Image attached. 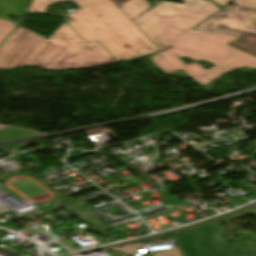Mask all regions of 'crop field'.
I'll return each instance as SVG.
<instances>
[{
  "mask_svg": "<svg viewBox=\"0 0 256 256\" xmlns=\"http://www.w3.org/2000/svg\"><path fill=\"white\" fill-rule=\"evenodd\" d=\"M142 246H144V244H131V245H127V246H124L122 248H114L116 250H119L121 252H124V253H134L136 252L137 250H139Z\"/></svg>",
  "mask_w": 256,
  "mask_h": 256,
  "instance_id": "13",
  "label": "crop field"
},
{
  "mask_svg": "<svg viewBox=\"0 0 256 256\" xmlns=\"http://www.w3.org/2000/svg\"><path fill=\"white\" fill-rule=\"evenodd\" d=\"M24 143H20V144H14V145H8V146H3L0 147V150L2 152H4L6 155L12 153L16 148L22 146Z\"/></svg>",
  "mask_w": 256,
  "mask_h": 256,
  "instance_id": "15",
  "label": "crop field"
},
{
  "mask_svg": "<svg viewBox=\"0 0 256 256\" xmlns=\"http://www.w3.org/2000/svg\"><path fill=\"white\" fill-rule=\"evenodd\" d=\"M12 10L13 8L10 7L5 0H0V18L11 21ZM7 15H9L10 18H8Z\"/></svg>",
  "mask_w": 256,
  "mask_h": 256,
  "instance_id": "10",
  "label": "crop field"
},
{
  "mask_svg": "<svg viewBox=\"0 0 256 256\" xmlns=\"http://www.w3.org/2000/svg\"><path fill=\"white\" fill-rule=\"evenodd\" d=\"M248 211L256 216V207L248 209ZM231 249H239L245 256H256V237L247 233L235 241Z\"/></svg>",
  "mask_w": 256,
  "mask_h": 256,
  "instance_id": "6",
  "label": "crop field"
},
{
  "mask_svg": "<svg viewBox=\"0 0 256 256\" xmlns=\"http://www.w3.org/2000/svg\"><path fill=\"white\" fill-rule=\"evenodd\" d=\"M117 63L98 43L85 41L64 21L48 39L19 26L0 47V70L26 65L49 70Z\"/></svg>",
  "mask_w": 256,
  "mask_h": 256,
  "instance_id": "2",
  "label": "crop field"
},
{
  "mask_svg": "<svg viewBox=\"0 0 256 256\" xmlns=\"http://www.w3.org/2000/svg\"><path fill=\"white\" fill-rule=\"evenodd\" d=\"M31 135H39V132L19 129L15 127H5L0 129V142Z\"/></svg>",
  "mask_w": 256,
  "mask_h": 256,
  "instance_id": "8",
  "label": "crop field"
},
{
  "mask_svg": "<svg viewBox=\"0 0 256 256\" xmlns=\"http://www.w3.org/2000/svg\"><path fill=\"white\" fill-rule=\"evenodd\" d=\"M164 1L134 22L163 50L150 59L165 74L182 70L201 87L242 67L256 69V57L226 44L239 37L191 30L221 10L210 0ZM195 62L186 65L180 58ZM214 65L205 69L197 61Z\"/></svg>",
  "mask_w": 256,
  "mask_h": 256,
  "instance_id": "1",
  "label": "crop field"
},
{
  "mask_svg": "<svg viewBox=\"0 0 256 256\" xmlns=\"http://www.w3.org/2000/svg\"><path fill=\"white\" fill-rule=\"evenodd\" d=\"M67 0H33L28 12ZM81 8L63 17L88 43L100 42L119 62L158 49L110 0H74Z\"/></svg>",
  "mask_w": 256,
  "mask_h": 256,
  "instance_id": "3",
  "label": "crop field"
},
{
  "mask_svg": "<svg viewBox=\"0 0 256 256\" xmlns=\"http://www.w3.org/2000/svg\"><path fill=\"white\" fill-rule=\"evenodd\" d=\"M29 0H10V4L15 7L14 15L22 16Z\"/></svg>",
  "mask_w": 256,
  "mask_h": 256,
  "instance_id": "11",
  "label": "crop field"
},
{
  "mask_svg": "<svg viewBox=\"0 0 256 256\" xmlns=\"http://www.w3.org/2000/svg\"><path fill=\"white\" fill-rule=\"evenodd\" d=\"M17 25L0 20V42L16 27Z\"/></svg>",
  "mask_w": 256,
  "mask_h": 256,
  "instance_id": "9",
  "label": "crop field"
},
{
  "mask_svg": "<svg viewBox=\"0 0 256 256\" xmlns=\"http://www.w3.org/2000/svg\"><path fill=\"white\" fill-rule=\"evenodd\" d=\"M232 3L237 6L256 9V0H234Z\"/></svg>",
  "mask_w": 256,
  "mask_h": 256,
  "instance_id": "12",
  "label": "crop field"
},
{
  "mask_svg": "<svg viewBox=\"0 0 256 256\" xmlns=\"http://www.w3.org/2000/svg\"><path fill=\"white\" fill-rule=\"evenodd\" d=\"M194 29L256 39V10L229 6Z\"/></svg>",
  "mask_w": 256,
  "mask_h": 256,
  "instance_id": "5",
  "label": "crop field"
},
{
  "mask_svg": "<svg viewBox=\"0 0 256 256\" xmlns=\"http://www.w3.org/2000/svg\"><path fill=\"white\" fill-rule=\"evenodd\" d=\"M212 1L215 2L220 7H224L226 6L227 2L231 0H212Z\"/></svg>",
  "mask_w": 256,
  "mask_h": 256,
  "instance_id": "16",
  "label": "crop field"
},
{
  "mask_svg": "<svg viewBox=\"0 0 256 256\" xmlns=\"http://www.w3.org/2000/svg\"><path fill=\"white\" fill-rule=\"evenodd\" d=\"M131 20L150 8L147 0H129L119 7Z\"/></svg>",
  "mask_w": 256,
  "mask_h": 256,
  "instance_id": "7",
  "label": "crop field"
},
{
  "mask_svg": "<svg viewBox=\"0 0 256 256\" xmlns=\"http://www.w3.org/2000/svg\"><path fill=\"white\" fill-rule=\"evenodd\" d=\"M173 236L183 256H244L230 246L216 221L177 233Z\"/></svg>",
  "mask_w": 256,
  "mask_h": 256,
  "instance_id": "4",
  "label": "crop field"
},
{
  "mask_svg": "<svg viewBox=\"0 0 256 256\" xmlns=\"http://www.w3.org/2000/svg\"><path fill=\"white\" fill-rule=\"evenodd\" d=\"M153 256H182L179 248L176 249H172V250H168V251H164L163 253H154Z\"/></svg>",
  "mask_w": 256,
  "mask_h": 256,
  "instance_id": "14",
  "label": "crop field"
}]
</instances>
